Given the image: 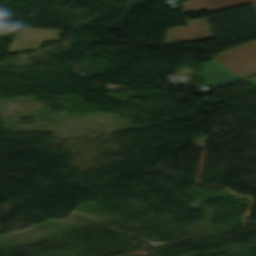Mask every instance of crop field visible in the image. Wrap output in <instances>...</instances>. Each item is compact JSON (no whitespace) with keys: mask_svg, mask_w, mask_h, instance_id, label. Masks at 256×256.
<instances>
[{"mask_svg":"<svg viewBox=\"0 0 256 256\" xmlns=\"http://www.w3.org/2000/svg\"><path fill=\"white\" fill-rule=\"evenodd\" d=\"M216 55L203 64L206 83L214 88L256 74V39Z\"/></svg>","mask_w":256,"mask_h":256,"instance_id":"obj_1","label":"crop field"},{"mask_svg":"<svg viewBox=\"0 0 256 256\" xmlns=\"http://www.w3.org/2000/svg\"><path fill=\"white\" fill-rule=\"evenodd\" d=\"M188 22L189 26L167 29L164 44L214 39L208 18ZM192 29L195 31H191Z\"/></svg>","mask_w":256,"mask_h":256,"instance_id":"obj_2","label":"crop field"},{"mask_svg":"<svg viewBox=\"0 0 256 256\" xmlns=\"http://www.w3.org/2000/svg\"><path fill=\"white\" fill-rule=\"evenodd\" d=\"M190 3V5H187ZM249 3L248 0H190L182 2L183 13L202 11L208 12Z\"/></svg>","mask_w":256,"mask_h":256,"instance_id":"obj_3","label":"crop field"},{"mask_svg":"<svg viewBox=\"0 0 256 256\" xmlns=\"http://www.w3.org/2000/svg\"><path fill=\"white\" fill-rule=\"evenodd\" d=\"M61 30L23 28L13 39L57 42ZM59 32V34H56Z\"/></svg>","mask_w":256,"mask_h":256,"instance_id":"obj_4","label":"crop field"},{"mask_svg":"<svg viewBox=\"0 0 256 256\" xmlns=\"http://www.w3.org/2000/svg\"><path fill=\"white\" fill-rule=\"evenodd\" d=\"M43 42L12 40L8 53L24 52L40 49Z\"/></svg>","mask_w":256,"mask_h":256,"instance_id":"obj_5","label":"crop field"},{"mask_svg":"<svg viewBox=\"0 0 256 256\" xmlns=\"http://www.w3.org/2000/svg\"><path fill=\"white\" fill-rule=\"evenodd\" d=\"M248 82H250L251 84L255 85L256 86V76L255 77H252V78H249V79H246Z\"/></svg>","mask_w":256,"mask_h":256,"instance_id":"obj_6","label":"crop field"},{"mask_svg":"<svg viewBox=\"0 0 256 256\" xmlns=\"http://www.w3.org/2000/svg\"><path fill=\"white\" fill-rule=\"evenodd\" d=\"M252 3H253V5L256 7V0H250Z\"/></svg>","mask_w":256,"mask_h":256,"instance_id":"obj_7","label":"crop field"}]
</instances>
